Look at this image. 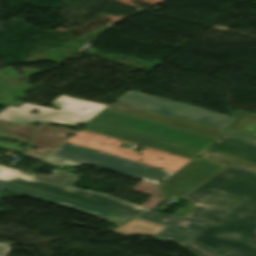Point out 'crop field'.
<instances>
[{
    "label": "crop field",
    "instance_id": "crop-field-19",
    "mask_svg": "<svg viewBox=\"0 0 256 256\" xmlns=\"http://www.w3.org/2000/svg\"><path fill=\"white\" fill-rule=\"evenodd\" d=\"M140 217L169 225L174 220H176L179 216L165 214V213H161V212L152 210Z\"/></svg>",
    "mask_w": 256,
    "mask_h": 256
},
{
    "label": "crop field",
    "instance_id": "crop-field-2",
    "mask_svg": "<svg viewBox=\"0 0 256 256\" xmlns=\"http://www.w3.org/2000/svg\"><path fill=\"white\" fill-rule=\"evenodd\" d=\"M84 130L192 159L214 138L105 109Z\"/></svg>",
    "mask_w": 256,
    "mask_h": 256
},
{
    "label": "crop field",
    "instance_id": "crop-field-11",
    "mask_svg": "<svg viewBox=\"0 0 256 256\" xmlns=\"http://www.w3.org/2000/svg\"><path fill=\"white\" fill-rule=\"evenodd\" d=\"M116 106H120L121 108H116ZM107 108L117 110V111H121V112L128 113V114H132V115L139 116V117H142V118L150 119V120H153V121H156V122L168 124V125H171V126L183 128V129H186V130H190V131L197 132V133L207 135V136H210V137H214V138H216L217 135L220 132H222L220 130L212 129V128L205 127V126H202V125H198V124H194V123L187 122V121H184V120H180V119H177V118H173V117H170V116H166V115H162V114H158V113L138 109V108L131 107V106L124 105V104H120V103L110 104ZM122 108H124V110Z\"/></svg>",
    "mask_w": 256,
    "mask_h": 256
},
{
    "label": "crop field",
    "instance_id": "crop-field-6",
    "mask_svg": "<svg viewBox=\"0 0 256 256\" xmlns=\"http://www.w3.org/2000/svg\"><path fill=\"white\" fill-rule=\"evenodd\" d=\"M116 102L224 130L234 118L144 93L129 91Z\"/></svg>",
    "mask_w": 256,
    "mask_h": 256
},
{
    "label": "crop field",
    "instance_id": "crop-field-8",
    "mask_svg": "<svg viewBox=\"0 0 256 256\" xmlns=\"http://www.w3.org/2000/svg\"><path fill=\"white\" fill-rule=\"evenodd\" d=\"M222 168L204 158L194 159L164 181L163 191L167 199L179 202Z\"/></svg>",
    "mask_w": 256,
    "mask_h": 256
},
{
    "label": "crop field",
    "instance_id": "crop-field-15",
    "mask_svg": "<svg viewBox=\"0 0 256 256\" xmlns=\"http://www.w3.org/2000/svg\"><path fill=\"white\" fill-rule=\"evenodd\" d=\"M212 223L180 217L170 226L193 237Z\"/></svg>",
    "mask_w": 256,
    "mask_h": 256
},
{
    "label": "crop field",
    "instance_id": "crop-field-9",
    "mask_svg": "<svg viewBox=\"0 0 256 256\" xmlns=\"http://www.w3.org/2000/svg\"><path fill=\"white\" fill-rule=\"evenodd\" d=\"M4 189L14 191V192H18V193H22V194L32 196V197H35V198L45 199V200H48L51 203H53L55 205H58V206L76 209L80 212H83V213H86V214H89V215H93V216H97V217H99L103 220H106L110 223H113L115 225H118V224H120V223H122V222H124L128 219L134 218L133 216L117 213V212L110 211V210H107V209H103V208H99V207H96V206H92V205H88V204H84V203L64 199V198H61V197H57V196L49 195V194H46V193H42V192L22 188V187H19V186H15V185L8 184V183L0 181V192Z\"/></svg>",
    "mask_w": 256,
    "mask_h": 256
},
{
    "label": "crop field",
    "instance_id": "crop-field-20",
    "mask_svg": "<svg viewBox=\"0 0 256 256\" xmlns=\"http://www.w3.org/2000/svg\"><path fill=\"white\" fill-rule=\"evenodd\" d=\"M151 237H165L179 243L180 245L191 239L188 236L170 228L169 226L158 235H151Z\"/></svg>",
    "mask_w": 256,
    "mask_h": 256
},
{
    "label": "crop field",
    "instance_id": "crop-field-14",
    "mask_svg": "<svg viewBox=\"0 0 256 256\" xmlns=\"http://www.w3.org/2000/svg\"><path fill=\"white\" fill-rule=\"evenodd\" d=\"M238 118L230 125V128L256 137V114L251 115L242 110L236 112Z\"/></svg>",
    "mask_w": 256,
    "mask_h": 256
},
{
    "label": "crop field",
    "instance_id": "crop-field-13",
    "mask_svg": "<svg viewBox=\"0 0 256 256\" xmlns=\"http://www.w3.org/2000/svg\"><path fill=\"white\" fill-rule=\"evenodd\" d=\"M166 225L142 220V219H134L114 230L112 232L128 236V235H136V234H158Z\"/></svg>",
    "mask_w": 256,
    "mask_h": 256
},
{
    "label": "crop field",
    "instance_id": "crop-field-7",
    "mask_svg": "<svg viewBox=\"0 0 256 256\" xmlns=\"http://www.w3.org/2000/svg\"><path fill=\"white\" fill-rule=\"evenodd\" d=\"M97 138H102V140H98ZM105 138L106 137L95 135L88 132H79L76 135H74L70 140H68V142L109 152L135 161H139V159L142 158L144 160L139 162L172 170L174 172L178 170L181 166H183L186 162H188V160H184L178 157H174L150 149L143 152L142 156H139L138 153L130 151L129 149L120 148L118 145L121 143H119L117 140H113L110 138L109 140H106ZM84 140H87V142H85ZM102 143L106 144L103 145ZM112 143H115V145H112ZM124 145L130 144L124 143ZM159 157L164 158V160L159 159Z\"/></svg>",
    "mask_w": 256,
    "mask_h": 256
},
{
    "label": "crop field",
    "instance_id": "crop-field-24",
    "mask_svg": "<svg viewBox=\"0 0 256 256\" xmlns=\"http://www.w3.org/2000/svg\"><path fill=\"white\" fill-rule=\"evenodd\" d=\"M10 248L0 244V256H7L10 252Z\"/></svg>",
    "mask_w": 256,
    "mask_h": 256
},
{
    "label": "crop field",
    "instance_id": "crop-field-1",
    "mask_svg": "<svg viewBox=\"0 0 256 256\" xmlns=\"http://www.w3.org/2000/svg\"><path fill=\"white\" fill-rule=\"evenodd\" d=\"M226 166L187 195L175 215L213 224L195 239L227 256H256V164L208 148L202 154Z\"/></svg>",
    "mask_w": 256,
    "mask_h": 256
},
{
    "label": "crop field",
    "instance_id": "crop-field-23",
    "mask_svg": "<svg viewBox=\"0 0 256 256\" xmlns=\"http://www.w3.org/2000/svg\"><path fill=\"white\" fill-rule=\"evenodd\" d=\"M0 137H5V138H8V139L21 141L19 139L13 138V137L8 136V135H5L3 133H0ZM21 142H23V141H21ZM23 143L28 144V142H23ZM0 149L11 150V151H16V152H20V151L23 150V148H21L19 146L12 145V144H6V143H0Z\"/></svg>",
    "mask_w": 256,
    "mask_h": 256
},
{
    "label": "crop field",
    "instance_id": "crop-field-22",
    "mask_svg": "<svg viewBox=\"0 0 256 256\" xmlns=\"http://www.w3.org/2000/svg\"><path fill=\"white\" fill-rule=\"evenodd\" d=\"M224 134H227V135H230V136H233V137L242 139V140H244V141H247V142L256 144V138H255V137L246 135V134H244V133L235 131V130L230 129V128H229L227 131H225Z\"/></svg>",
    "mask_w": 256,
    "mask_h": 256
},
{
    "label": "crop field",
    "instance_id": "crop-field-16",
    "mask_svg": "<svg viewBox=\"0 0 256 256\" xmlns=\"http://www.w3.org/2000/svg\"><path fill=\"white\" fill-rule=\"evenodd\" d=\"M34 130L35 128L31 126L0 121V132L19 138L23 141H29Z\"/></svg>",
    "mask_w": 256,
    "mask_h": 256
},
{
    "label": "crop field",
    "instance_id": "crop-field-17",
    "mask_svg": "<svg viewBox=\"0 0 256 256\" xmlns=\"http://www.w3.org/2000/svg\"><path fill=\"white\" fill-rule=\"evenodd\" d=\"M33 178L52 182V183L59 184V185L69 187V188H72L73 185L79 180V178L76 177L75 174L61 172V171H57L53 175L36 174V176Z\"/></svg>",
    "mask_w": 256,
    "mask_h": 256
},
{
    "label": "crop field",
    "instance_id": "crop-field-3",
    "mask_svg": "<svg viewBox=\"0 0 256 256\" xmlns=\"http://www.w3.org/2000/svg\"><path fill=\"white\" fill-rule=\"evenodd\" d=\"M59 110L46 108L29 103H23L19 108L8 106L0 112V119L16 121L25 124L44 121L77 126L78 123L86 124L107 106L69 98L60 95L52 102ZM32 110L40 111L38 115L29 113Z\"/></svg>",
    "mask_w": 256,
    "mask_h": 256
},
{
    "label": "crop field",
    "instance_id": "crop-field-4",
    "mask_svg": "<svg viewBox=\"0 0 256 256\" xmlns=\"http://www.w3.org/2000/svg\"><path fill=\"white\" fill-rule=\"evenodd\" d=\"M52 155L84 162L155 184H159V181L167 179L174 173L68 142L59 147Z\"/></svg>",
    "mask_w": 256,
    "mask_h": 256
},
{
    "label": "crop field",
    "instance_id": "crop-field-10",
    "mask_svg": "<svg viewBox=\"0 0 256 256\" xmlns=\"http://www.w3.org/2000/svg\"><path fill=\"white\" fill-rule=\"evenodd\" d=\"M68 134H74V132L64 127L57 129L44 124L36 130L30 141V145H34L39 150H26L22 155L41 160L64 142Z\"/></svg>",
    "mask_w": 256,
    "mask_h": 256
},
{
    "label": "crop field",
    "instance_id": "crop-field-12",
    "mask_svg": "<svg viewBox=\"0 0 256 256\" xmlns=\"http://www.w3.org/2000/svg\"><path fill=\"white\" fill-rule=\"evenodd\" d=\"M210 148L256 163V145L224 134Z\"/></svg>",
    "mask_w": 256,
    "mask_h": 256
},
{
    "label": "crop field",
    "instance_id": "crop-field-21",
    "mask_svg": "<svg viewBox=\"0 0 256 256\" xmlns=\"http://www.w3.org/2000/svg\"><path fill=\"white\" fill-rule=\"evenodd\" d=\"M42 162H44L48 165L51 163L50 166L80 167L81 165H83V163H79L76 161H72V160H68V159H64V158H60V157H56V156H52V155L47 157Z\"/></svg>",
    "mask_w": 256,
    "mask_h": 256
},
{
    "label": "crop field",
    "instance_id": "crop-field-5",
    "mask_svg": "<svg viewBox=\"0 0 256 256\" xmlns=\"http://www.w3.org/2000/svg\"><path fill=\"white\" fill-rule=\"evenodd\" d=\"M33 175L26 174L23 170L9 168L0 164V180L23 185L48 193L72 198L86 203L102 206L115 211L137 216L148 210L141 206L89 190L73 187L65 188L59 185L35 180Z\"/></svg>",
    "mask_w": 256,
    "mask_h": 256
},
{
    "label": "crop field",
    "instance_id": "crop-field-18",
    "mask_svg": "<svg viewBox=\"0 0 256 256\" xmlns=\"http://www.w3.org/2000/svg\"><path fill=\"white\" fill-rule=\"evenodd\" d=\"M182 246L197 256H224L192 239Z\"/></svg>",
    "mask_w": 256,
    "mask_h": 256
}]
</instances>
